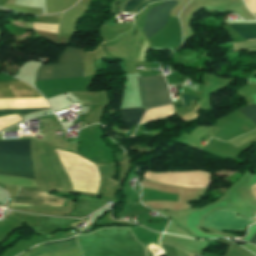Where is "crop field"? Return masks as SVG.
Returning a JSON list of instances; mask_svg holds the SVG:
<instances>
[{
	"mask_svg": "<svg viewBox=\"0 0 256 256\" xmlns=\"http://www.w3.org/2000/svg\"><path fill=\"white\" fill-rule=\"evenodd\" d=\"M0 153H29L27 139L0 142ZM0 174L33 179L29 154H0Z\"/></svg>",
	"mask_w": 256,
	"mask_h": 256,
	"instance_id": "1",
	"label": "crop field"
},
{
	"mask_svg": "<svg viewBox=\"0 0 256 256\" xmlns=\"http://www.w3.org/2000/svg\"><path fill=\"white\" fill-rule=\"evenodd\" d=\"M80 76H84L83 49L66 47L57 64L40 66L36 81Z\"/></svg>",
	"mask_w": 256,
	"mask_h": 256,
	"instance_id": "2",
	"label": "crop field"
},
{
	"mask_svg": "<svg viewBox=\"0 0 256 256\" xmlns=\"http://www.w3.org/2000/svg\"><path fill=\"white\" fill-rule=\"evenodd\" d=\"M141 105L146 109L171 103L170 95L162 76L137 78Z\"/></svg>",
	"mask_w": 256,
	"mask_h": 256,
	"instance_id": "3",
	"label": "crop field"
},
{
	"mask_svg": "<svg viewBox=\"0 0 256 256\" xmlns=\"http://www.w3.org/2000/svg\"><path fill=\"white\" fill-rule=\"evenodd\" d=\"M23 97H42L36 90L23 82H0V98H23ZM50 108L40 109H21L3 110L0 115L6 113H20L21 116L32 112L49 110Z\"/></svg>",
	"mask_w": 256,
	"mask_h": 256,
	"instance_id": "4",
	"label": "crop field"
},
{
	"mask_svg": "<svg viewBox=\"0 0 256 256\" xmlns=\"http://www.w3.org/2000/svg\"><path fill=\"white\" fill-rule=\"evenodd\" d=\"M65 199L49 195L38 188H18L12 203L29 204V206H58L62 207ZM16 206H27L11 204Z\"/></svg>",
	"mask_w": 256,
	"mask_h": 256,
	"instance_id": "5",
	"label": "crop field"
},
{
	"mask_svg": "<svg viewBox=\"0 0 256 256\" xmlns=\"http://www.w3.org/2000/svg\"><path fill=\"white\" fill-rule=\"evenodd\" d=\"M254 222L256 221L238 217L233 211L220 210L209 216L204 225L218 230L242 231L247 225Z\"/></svg>",
	"mask_w": 256,
	"mask_h": 256,
	"instance_id": "6",
	"label": "crop field"
},
{
	"mask_svg": "<svg viewBox=\"0 0 256 256\" xmlns=\"http://www.w3.org/2000/svg\"><path fill=\"white\" fill-rule=\"evenodd\" d=\"M177 3L178 2L174 0H170V1H167L165 4L163 3L164 4L163 7H162L163 4L155 5L146 13L143 32L148 39L155 34L156 22H157L160 8L162 7L160 10V14L157 22L156 32L166 25L170 10Z\"/></svg>",
	"mask_w": 256,
	"mask_h": 256,
	"instance_id": "7",
	"label": "crop field"
},
{
	"mask_svg": "<svg viewBox=\"0 0 256 256\" xmlns=\"http://www.w3.org/2000/svg\"><path fill=\"white\" fill-rule=\"evenodd\" d=\"M145 109L132 108L119 110L120 118L125 127L129 130L136 123H139Z\"/></svg>",
	"mask_w": 256,
	"mask_h": 256,
	"instance_id": "8",
	"label": "crop field"
},
{
	"mask_svg": "<svg viewBox=\"0 0 256 256\" xmlns=\"http://www.w3.org/2000/svg\"><path fill=\"white\" fill-rule=\"evenodd\" d=\"M73 238H71V239H73ZM57 242H59V241H57ZM50 243H55V242H50ZM47 244H49V243H47ZM74 248H78L75 243V239L69 240V241H64V242H59V243H55V244L44 245L32 256H38L40 254L53 252V251H57V250L74 249Z\"/></svg>",
	"mask_w": 256,
	"mask_h": 256,
	"instance_id": "9",
	"label": "crop field"
},
{
	"mask_svg": "<svg viewBox=\"0 0 256 256\" xmlns=\"http://www.w3.org/2000/svg\"><path fill=\"white\" fill-rule=\"evenodd\" d=\"M246 40L256 39V24H230Z\"/></svg>",
	"mask_w": 256,
	"mask_h": 256,
	"instance_id": "10",
	"label": "crop field"
},
{
	"mask_svg": "<svg viewBox=\"0 0 256 256\" xmlns=\"http://www.w3.org/2000/svg\"><path fill=\"white\" fill-rule=\"evenodd\" d=\"M158 0H130L124 6V11L138 12L150 2Z\"/></svg>",
	"mask_w": 256,
	"mask_h": 256,
	"instance_id": "11",
	"label": "crop field"
},
{
	"mask_svg": "<svg viewBox=\"0 0 256 256\" xmlns=\"http://www.w3.org/2000/svg\"><path fill=\"white\" fill-rule=\"evenodd\" d=\"M237 50H256V41L241 42L233 44V51Z\"/></svg>",
	"mask_w": 256,
	"mask_h": 256,
	"instance_id": "12",
	"label": "crop field"
},
{
	"mask_svg": "<svg viewBox=\"0 0 256 256\" xmlns=\"http://www.w3.org/2000/svg\"><path fill=\"white\" fill-rule=\"evenodd\" d=\"M239 111L256 124V105L241 108Z\"/></svg>",
	"mask_w": 256,
	"mask_h": 256,
	"instance_id": "13",
	"label": "crop field"
},
{
	"mask_svg": "<svg viewBox=\"0 0 256 256\" xmlns=\"http://www.w3.org/2000/svg\"><path fill=\"white\" fill-rule=\"evenodd\" d=\"M182 96H183V99H184V102H185L186 106H190L189 103H188V100H195V96H190V95H182ZM182 96H181V99H182ZM183 99H182V102H183ZM184 102H183V104H184Z\"/></svg>",
	"mask_w": 256,
	"mask_h": 256,
	"instance_id": "14",
	"label": "crop field"
},
{
	"mask_svg": "<svg viewBox=\"0 0 256 256\" xmlns=\"http://www.w3.org/2000/svg\"><path fill=\"white\" fill-rule=\"evenodd\" d=\"M249 243L256 244V234L253 236V238L249 241Z\"/></svg>",
	"mask_w": 256,
	"mask_h": 256,
	"instance_id": "15",
	"label": "crop field"
},
{
	"mask_svg": "<svg viewBox=\"0 0 256 256\" xmlns=\"http://www.w3.org/2000/svg\"><path fill=\"white\" fill-rule=\"evenodd\" d=\"M175 107H183L182 105H175Z\"/></svg>",
	"mask_w": 256,
	"mask_h": 256,
	"instance_id": "16",
	"label": "crop field"
},
{
	"mask_svg": "<svg viewBox=\"0 0 256 256\" xmlns=\"http://www.w3.org/2000/svg\"><path fill=\"white\" fill-rule=\"evenodd\" d=\"M256 16V14H254Z\"/></svg>",
	"mask_w": 256,
	"mask_h": 256,
	"instance_id": "17",
	"label": "crop field"
}]
</instances>
